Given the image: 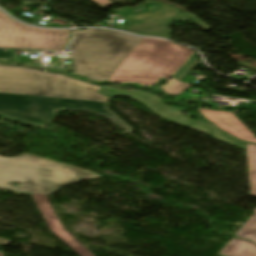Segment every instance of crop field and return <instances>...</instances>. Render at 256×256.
<instances>
[{"label": "crop field", "instance_id": "obj_1", "mask_svg": "<svg viewBox=\"0 0 256 256\" xmlns=\"http://www.w3.org/2000/svg\"><path fill=\"white\" fill-rule=\"evenodd\" d=\"M102 87L38 69L0 65V116L44 130L61 108L106 116L130 133L132 128L107 108Z\"/></svg>", "mask_w": 256, "mask_h": 256}, {"label": "crop field", "instance_id": "obj_2", "mask_svg": "<svg viewBox=\"0 0 256 256\" xmlns=\"http://www.w3.org/2000/svg\"><path fill=\"white\" fill-rule=\"evenodd\" d=\"M99 175L33 156L22 154L15 158L0 156V188L31 193L49 228L79 256H94L60 224L46 194L54 193L63 185ZM20 183L13 187V183Z\"/></svg>", "mask_w": 256, "mask_h": 256}, {"label": "crop field", "instance_id": "obj_3", "mask_svg": "<svg viewBox=\"0 0 256 256\" xmlns=\"http://www.w3.org/2000/svg\"><path fill=\"white\" fill-rule=\"evenodd\" d=\"M140 39L112 30L75 31L69 46L75 72L98 81L108 80Z\"/></svg>", "mask_w": 256, "mask_h": 256}, {"label": "crop field", "instance_id": "obj_4", "mask_svg": "<svg viewBox=\"0 0 256 256\" xmlns=\"http://www.w3.org/2000/svg\"><path fill=\"white\" fill-rule=\"evenodd\" d=\"M192 52L168 41L143 38L109 81L152 85L161 75L171 77Z\"/></svg>", "mask_w": 256, "mask_h": 256}, {"label": "crop field", "instance_id": "obj_5", "mask_svg": "<svg viewBox=\"0 0 256 256\" xmlns=\"http://www.w3.org/2000/svg\"><path fill=\"white\" fill-rule=\"evenodd\" d=\"M69 30H42L14 23L0 12V47L62 50Z\"/></svg>", "mask_w": 256, "mask_h": 256}, {"label": "crop field", "instance_id": "obj_6", "mask_svg": "<svg viewBox=\"0 0 256 256\" xmlns=\"http://www.w3.org/2000/svg\"><path fill=\"white\" fill-rule=\"evenodd\" d=\"M99 93L107 97H129L145 106L154 114L185 127L194 122L193 119L182 115L177 108L165 106L161 100L147 94L137 93L135 91H114L108 87L102 88Z\"/></svg>", "mask_w": 256, "mask_h": 256}, {"label": "crop field", "instance_id": "obj_7", "mask_svg": "<svg viewBox=\"0 0 256 256\" xmlns=\"http://www.w3.org/2000/svg\"><path fill=\"white\" fill-rule=\"evenodd\" d=\"M212 123L229 134L247 142L256 143L254 135L229 111H211L199 108Z\"/></svg>", "mask_w": 256, "mask_h": 256}, {"label": "crop field", "instance_id": "obj_8", "mask_svg": "<svg viewBox=\"0 0 256 256\" xmlns=\"http://www.w3.org/2000/svg\"><path fill=\"white\" fill-rule=\"evenodd\" d=\"M187 17L192 20V22L197 25L198 27L202 28L203 30H208L210 29L208 26L205 24L201 23L200 21L197 20L196 16L185 12L182 14H178L169 18H165L159 21H155L149 24H145L139 27L131 28V29H126L125 31L141 34V35H153V36H160V37H166L170 38V29L166 28L170 21L178 19V18H183Z\"/></svg>", "mask_w": 256, "mask_h": 256}, {"label": "crop field", "instance_id": "obj_9", "mask_svg": "<svg viewBox=\"0 0 256 256\" xmlns=\"http://www.w3.org/2000/svg\"><path fill=\"white\" fill-rule=\"evenodd\" d=\"M217 256H256V245L232 238Z\"/></svg>", "mask_w": 256, "mask_h": 256}, {"label": "crop field", "instance_id": "obj_10", "mask_svg": "<svg viewBox=\"0 0 256 256\" xmlns=\"http://www.w3.org/2000/svg\"><path fill=\"white\" fill-rule=\"evenodd\" d=\"M250 194L256 196V146L246 144Z\"/></svg>", "mask_w": 256, "mask_h": 256}, {"label": "crop field", "instance_id": "obj_11", "mask_svg": "<svg viewBox=\"0 0 256 256\" xmlns=\"http://www.w3.org/2000/svg\"><path fill=\"white\" fill-rule=\"evenodd\" d=\"M253 211L254 213L251 215V217L236 233V237L249 239L256 243V209Z\"/></svg>", "mask_w": 256, "mask_h": 256}, {"label": "crop field", "instance_id": "obj_12", "mask_svg": "<svg viewBox=\"0 0 256 256\" xmlns=\"http://www.w3.org/2000/svg\"><path fill=\"white\" fill-rule=\"evenodd\" d=\"M208 130L210 131V133L212 134V137L214 139H217L219 141L225 142L227 144L233 145L235 147L241 148L243 150H246L245 144L234 139L231 138L229 136L224 135L223 133H221L219 130H217L216 128H214L211 125L207 126Z\"/></svg>", "mask_w": 256, "mask_h": 256}, {"label": "crop field", "instance_id": "obj_13", "mask_svg": "<svg viewBox=\"0 0 256 256\" xmlns=\"http://www.w3.org/2000/svg\"><path fill=\"white\" fill-rule=\"evenodd\" d=\"M197 62V54L193 52L172 77L181 81Z\"/></svg>", "mask_w": 256, "mask_h": 256}, {"label": "crop field", "instance_id": "obj_14", "mask_svg": "<svg viewBox=\"0 0 256 256\" xmlns=\"http://www.w3.org/2000/svg\"><path fill=\"white\" fill-rule=\"evenodd\" d=\"M190 84L179 82L173 78H170L167 84L161 86L165 92L171 94L172 96L178 95L180 92L188 88Z\"/></svg>", "mask_w": 256, "mask_h": 256}, {"label": "crop field", "instance_id": "obj_15", "mask_svg": "<svg viewBox=\"0 0 256 256\" xmlns=\"http://www.w3.org/2000/svg\"><path fill=\"white\" fill-rule=\"evenodd\" d=\"M207 125H208L207 123H205L203 121H199V122H196V123L190 125L188 128H192V129H195V130H197L199 132H202L204 134L210 135V133L206 129Z\"/></svg>", "mask_w": 256, "mask_h": 256}, {"label": "crop field", "instance_id": "obj_16", "mask_svg": "<svg viewBox=\"0 0 256 256\" xmlns=\"http://www.w3.org/2000/svg\"><path fill=\"white\" fill-rule=\"evenodd\" d=\"M64 58H58V57H51L49 64H52L54 66H61L63 63Z\"/></svg>", "mask_w": 256, "mask_h": 256}, {"label": "crop field", "instance_id": "obj_17", "mask_svg": "<svg viewBox=\"0 0 256 256\" xmlns=\"http://www.w3.org/2000/svg\"><path fill=\"white\" fill-rule=\"evenodd\" d=\"M92 1L96 2L97 4H99L104 8L113 4V2H111L110 0H92Z\"/></svg>", "mask_w": 256, "mask_h": 256}, {"label": "crop field", "instance_id": "obj_18", "mask_svg": "<svg viewBox=\"0 0 256 256\" xmlns=\"http://www.w3.org/2000/svg\"><path fill=\"white\" fill-rule=\"evenodd\" d=\"M14 51H3V49H0V58H10L13 56Z\"/></svg>", "mask_w": 256, "mask_h": 256}, {"label": "crop field", "instance_id": "obj_19", "mask_svg": "<svg viewBox=\"0 0 256 256\" xmlns=\"http://www.w3.org/2000/svg\"><path fill=\"white\" fill-rule=\"evenodd\" d=\"M9 242H10V240L0 238V245L7 246Z\"/></svg>", "mask_w": 256, "mask_h": 256}, {"label": "crop field", "instance_id": "obj_20", "mask_svg": "<svg viewBox=\"0 0 256 256\" xmlns=\"http://www.w3.org/2000/svg\"><path fill=\"white\" fill-rule=\"evenodd\" d=\"M142 12H146V10H144V11H141V12H137L136 14H138V13H142Z\"/></svg>", "mask_w": 256, "mask_h": 256}, {"label": "crop field", "instance_id": "obj_21", "mask_svg": "<svg viewBox=\"0 0 256 256\" xmlns=\"http://www.w3.org/2000/svg\"><path fill=\"white\" fill-rule=\"evenodd\" d=\"M0 256H2V253H1V251H0Z\"/></svg>", "mask_w": 256, "mask_h": 256}]
</instances>
